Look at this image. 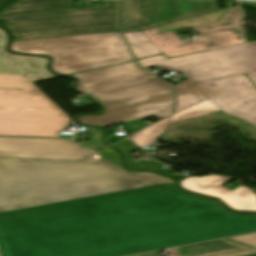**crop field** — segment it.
<instances>
[{
  "mask_svg": "<svg viewBox=\"0 0 256 256\" xmlns=\"http://www.w3.org/2000/svg\"><path fill=\"white\" fill-rule=\"evenodd\" d=\"M240 4L246 5V6H251V7H255V8H256V3H248V2H242V1H240Z\"/></svg>",
  "mask_w": 256,
  "mask_h": 256,
  "instance_id": "23",
  "label": "crop field"
},
{
  "mask_svg": "<svg viewBox=\"0 0 256 256\" xmlns=\"http://www.w3.org/2000/svg\"><path fill=\"white\" fill-rule=\"evenodd\" d=\"M124 34L136 59L162 53L141 31Z\"/></svg>",
  "mask_w": 256,
  "mask_h": 256,
  "instance_id": "14",
  "label": "crop field"
},
{
  "mask_svg": "<svg viewBox=\"0 0 256 256\" xmlns=\"http://www.w3.org/2000/svg\"><path fill=\"white\" fill-rule=\"evenodd\" d=\"M5 43L0 29V135L59 137L69 118L32 83L57 77L48 59L7 53Z\"/></svg>",
  "mask_w": 256,
  "mask_h": 256,
  "instance_id": "2",
  "label": "crop field"
},
{
  "mask_svg": "<svg viewBox=\"0 0 256 256\" xmlns=\"http://www.w3.org/2000/svg\"><path fill=\"white\" fill-rule=\"evenodd\" d=\"M170 118L141 130L140 132L131 136L129 139H131L141 148L152 144L154 140L158 137V135L161 133V131L164 129V127L167 125Z\"/></svg>",
  "mask_w": 256,
  "mask_h": 256,
  "instance_id": "16",
  "label": "crop field"
},
{
  "mask_svg": "<svg viewBox=\"0 0 256 256\" xmlns=\"http://www.w3.org/2000/svg\"><path fill=\"white\" fill-rule=\"evenodd\" d=\"M97 153L104 156L105 159L112 162L116 166H118V167L121 166V163L118 159V155H117L116 151H114L113 149L107 147V148H105V149H103V150H101Z\"/></svg>",
  "mask_w": 256,
  "mask_h": 256,
  "instance_id": "19",
  "label": "crop field"
},
{
  "mask_svg": "<svg viewBox=\"0 0 256 256\" xmlns=\"http://www.w3.org/2000/svg\"><path fill=\"white\" fill-rule=\"evenodd\" d=\"M75 7V0H18L0 13L14 41L120 31L121 0Z\"/></svg>",
  "mask_w": 256,
  "mask_h": 256,
  "instance_id": "3",
  "label": "crop field"
},
{
  "mask_svg": "<svg viewBox=\"0 0 256 256\" xmlns=\"http://www.w3.org/2000/svg\"><path fill=\"white\" fill-rule=\"evenodd\" d=\"M95 154L72 142L55 139L0 137V156L84 161Z\"/></svg>",
  "mask_w": 256,
  "mask_h": 256,
  "instance_id": "10",
  "label": "crop field"
},
{
  "mask_svg": "<svg viewBox=\"0 0 256 256\" xmlns=\"http://www.w3.org/2000/svg\"><path fill=\"white\" fill-rule=\"evenodd\" d=\"M241 19H242V13L239 10L238 6H235V7L230 8L223 15L220 23L194 27L193 29L196 32H199V31H204V30H210V29H215V28H220V27L231 26V25H235V24L239 23L241 21Z\"/></svg>",
  "mask_w": 256,
  "mask_h": 256,
  "instance_id": "17",
  "label": "crop field"
},
{
  "mask_svg": "<svg viewBox=\"0 0 256 256\" xmlns=\"http://www.w3.org/2000/svg\"><path fill=\"white\" fill-rule=\"evenodd\" d=\"M253 256H256V255H253Z\"/></svg>",
  "mask_w": 256,
  "mask_h": 256,
  "instance_id": "24",
  "label": "crop field"
},
{
  "mask_svg": "<svg viewBox=\"0 0 256 256\" xmlns=\"http://www.w3.org/2000/svg\"><path fill=\"white\" fill-rule=\"evenodd\" d=\"M15 1L16 0H0V12L5 10L7 7H9Z\"/></svg>",
  "mask_w": 256,
  "mask_h": 256,
  "instance_id": "21",
  "label": "crop field"
},
{
  "mask_svg": "<svg viewBox=\"0 0 256 256\" xmlns=\"http://www.w3.org/2000/svg\"><path fill=\"white\" fill-rule=\"evenodd\" d=\"M90 95L104 104L107 112L102 116H81L79 121L104 127L152 116L166 117L174 101L170 86L156 78Z\"/></svg>",
  "mask_w": 256,
  "mask_h": 256,
  "instance_id": "6",
  "label": "crop field"
},
{
  "mask_svg": "<svg viewBox=\"0 0 256 256\" xmlns=\"http://www.w3.org/2000/svg\"><path fill=\"white\" fill-rule=\"evenodd\" d=\"M13 51L48 54L68 74L133 60L120 32L14 42Z\"/></svg>",
  "mask_w": 256,
  "mask_h": 256,
  "instance_id": "5",
  "label": "crop field"
},
{
  "mask_svg": "<svg viewBox=\"0 0 256 256\" xmlns=\"http://www.w3.org/2000/svg\"><path fill=\"white\" fill-rule=\"evenodd\" d=\"M228 239L256 249V234H250V235L239 236V237L228 238Z\"/></svg>",
  "mask_w": 256,
  "mask_h": 256,
  "instance_id": "20",
  "label": "crop field"
},
{
  "mask_svg": "<svg viewBox=\"0 0 256 256\" xmlns=\"http://www.w3.org/2000/svg\"><path fill=\"white\" fill-rule=\"evenodd\" d=\"M247 75L256 86V72L248 73Z\"/></svg>",
  "mask_w": 256,
  "mask_h": 256,
  "instance_id": "22",
  "label": "crop field"
},
{
  "mask_svg": "<svg viewBox=\"0 0 256 256\" xmlns=\"http://www.w3.org/2000/svg\"><path fill=\"white\" fill-rule=\"evenodd\" d=\"M72 76L79 78L80 83L77 85V90L84 93L150 77L137 68L134 61Z\"/></svg>",
  "mask_w": 256,
  "mask_h": 256,
  "instance_id": "12",
  "label": "crop field"
},
{
  "mask_svg": "<svg viewBox=\"0 0 256 256\" xmlns=\"http://www.w3.org/2000/svg\"><path fill=\"white\" fill-rule=\"evenodd\" d=\"M116 148H118L119 150H121L125 156L126 159V163L129 167L131 168H145V167H152L158 171H175L173 169H164L162 167H160L159 163L152 161V162H148V163H134L131 164V161L127 155V153L138 150V148L136 146H134L130 141L128 140H124L116 145H114Z\"/></svg>",
  "mask_w": 256,
  "mask_h": 256,
  "instance_id": "18",
  "label": "crop field"
},
{
  "mask_svg": "<svg viewBox=\"0 0 256 256\" xmlns=\"http://www.w3.org/2000/svg\"><path fill=\"white\" fill-rule=\"evenodd\" d=\"M175 249V248H174ZM176 251V250H175Z\"/></svg>",
  "mask_w": 256,
  "mask_h": 256,
  "instance_id": "25",
  "label": "crop field"
},
{
  "mask_svg": "<svg viewBox=\"0 0 256 256\" xmlns=\"http://www.w3.org/2000/svg\"><path fill=\"white\" fill-rule=\"evenodd\" d=\"M256 231V215L95 162L0 157L2 256H121Z\"/></svg>",
  "mask_w": 256,
  "mask_h": 256,
  "instance_id": "1",
  "label": "crop field"
},
{
  "mask_svg": "<svg viewBox=\"0 0 256 256\" xmlns=\"http://www.w3.org/2000/svg\"><path fill=\"white\" fill-rule=\"evenodd\" d=\"M228 9L197 16L194 18L169 23L163 26L155 27L163 32H169V31H175L180 30L184 28L199 26V25H205L210 23H216L219 22L221 19V16L227 11Z\"/></svg>",
  "mask_w": 256,
  "mask_h": 256,
  "instance_id": "15",
  "label": "crop field"
},
{
  "mask_svg": "<svg viewBox=\"0 0 256 256\" xmlns=\"http://www.w3.org/2000/svg\"><path fill=\"white\" fill-rule=\"evenodd\" d=\"M138 63L142 68L157 66L181 71L189 78L174 86L178 94L176 114L205 100L193 84L256 71V41L174 59L160 55Z\"/></svg>",
  "mask_w": 256,
  "mask_h": 256,
  "instance_id": "4",
  "label": "crop field"
},
{
  "mask_svg": "<svg viewBox=\"0 0 256 256\" xmlns=\"http://www.w3.org/2000/svg\"><path fill=\"white\" fill-rule=\"evenodd\" d=\"M229 180L216 176L189 177L181 181L180 186L184 190L217 197L234 210L256 211V192L244 186L233 191L221 187Z\"/></svg>",
  "mask_w": 256,
  "mask_h": 256,
  "instance_id": "11",
  "label": "crop field"
},
{
  "mask_svg": "<svg viewBox=\"0 0 256 256\" xmlns=\"http://www.w3.org/2000/svg\"><path fill=\"white\" fill-rule=\"evenodd\" d=\"M217 10V0H124V32L143 30Z\"/></svg>",
  "mask_w": 256,
  "mask_h": 256,
  "instance_id": "8",
  "label": "crop field"
},
{
  "mask_svg": "<svg viewBox=\"0 0 256 256\" xmlns=\"http://www.w3.org/2000/svg\"><path fill=\"white\" fill-rule=\"evenodd\" d=\"M168 58L246 42L242 25L200 33L202 38L181 42L173 32L142 31Z\"/></svg>",
  "mask_w": 256,
  "mask_h": 256,
  "instance_id": "9",
  "label": "crop field"
},
{
  "mask_svg": "<svg viewBox=\"0 0 256 256\" xmlns=\"http://www.w3.org/2000/svg\"><path fill=\"white\" fill-rule=\"evenodd\" d=\"M179 256H245L256 250L233 241L222 239L176 248ZM134 256H156L154 252Z\"/></svg>",
  "mask_w": 256,
  "mask_h": 256,
  "instance_id": "13",
  "label": "crop field"
},
{
  "mask_svg": "<svg viewBox=\"0 0 256 256\" xmlns=\"http://www.w3.org/2000/svg\"><path fill=\"white\" fill-rule=\"evenodd\" d=\"M207 100L173 116L172 122L217 110L256 125V88L244 75L196 84ZM206 93V94H205Z\"/></svg>",
  "mask_w": 256,
  "mask_h": 256,
  "instance_id": "7",
  "label": "crop field"
}]
</instances>
